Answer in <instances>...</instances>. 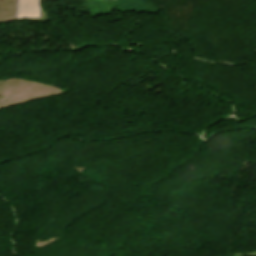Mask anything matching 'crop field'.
<instances>
[{"instance_id": "obj_1", "label": "crop field", "mask_w": 256, "mask_h": 256, "mask_svg": "<svg viewBox=\"0 0 256 256\" xmlns=\"http://www.w3.org/2000/svg\"><path fill=\"white\" fill-rule=\"evenodd\" d=\"M40 0H18L16 17H39Z\"/></svg>"}]
</instances>
